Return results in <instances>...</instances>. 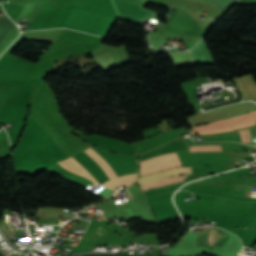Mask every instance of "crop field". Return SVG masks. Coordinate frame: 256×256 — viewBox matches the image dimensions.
Returning a JSON list of instances; mask_svg holds the SVG:
<instances>
[{"mask_svg": "<svg viewBox=\"0 0 256 256\" xmlns=\"http://www.w3.org/2000/svg\"><path fill=\"white\" fill-rule=\"evenodd\" d=\"M186 176L187 175H182V176H177V177H173V178L155 180V181L149 182L147 184L141 185V187L143 188V190L157 188V187H161V186H164V185H167V184L180 182Z\"/></svg>", "mask_w": 256, "mask_h": 256, "instance_id": "obj_7", "label": "crop field"}, {"mask_svg": "<svg viewBox=\"0 0 256 256\" xmlns=\"http://www.w3.org/2000/svg\"><path fill=\"white\" fill-rule=\"evenodd\" d=\"M243 130H244L246 142H247V143L251 142V141H250L251 137H250V133H249L248 127L245 128V129H243ZM243 130H242V129H239L238 132H239V135H240V138L242 139V141L245 142Z\"/></svg>", "mask_w": 256, "mask_h": 256, "instance_id": "obj_8", "label": "crop field"}, {"mask_svg": "<svg viewBox=\"0 0 256 256\" xmlns=\"http://www.w3.org/2000/svg\"><path fill=\"white\" fill-rule=\"evenodd\" d=\"M118 18L129 22L143 20L146 17L156 18L157 13L142 8L148 2L144 0H111Z\"/></svg>", "mask_w": 256, "mask_h": 256, "instance_id": "obj_3", "label": "crop field"}, {"mask_svg": "<svg viewBox=\"0 0 256 256\" xmlns=\"http://www.w3.org/2000/svg\"><path fill=\"white\" fill-rule=\"evenodd\" d=\"M177 174H191V167H179V168H175V169L162 171V172H159L156 174L140 177V178H138V183L141 184V183H145V182H148L151 180L164 178V177H168V176H173V175H177Z\"/></svg>", "mask_w": 256, "mask_h": 256, "instance_id": "obj_6", "label": "crop field"}, {"mask_svg": "<svg viewBox=\"0 0 256 256\" xmlns=\"http://www.w3.org/2000/svg\"><path fill=\"white\" fill-rule=\"evenodd\" d=\"M23 63L24 60L9 55L0 68V78H13Z\"/></svg>", "mask_w": 256, "mask_h": 256, "instance_id": "obj_5", "label": "crop field"}, {"mask_svg": "<svg viewBox=\"0 0 256 256\" xmlns=\"http://www.w3.org/2000/svg\"><path fill=\"white\" fill-rule=\"evenodd\" d=\"M83 154L101 170V172L106 176L108 180L118 177L110 164L91 147L83 151ZM59 163L66 169L95 181L73 157ZM135 179L136 173L115 178L101 185L117 190L122 186L126 187L130 185L133 181H135Z\"/></svg>", "mask_w": 256, "mask_h": 256, "instance_id": "obj_1", "label": "crop field"}, {"mask_svg": "<svg viewBox=\"0 0 256 256\" xmlns=\"http://www.w3.org/2000/svg\"><path fill=\"white\" fill-rule=\"evenodd\" d=\"M177 158H179L177 152L160 155V156L142 161L141 165H140V168L145 167V166H149V165H153V164H157V163H161V162H165V161H169V160H173V159H177ZM181 165L182 164H181L180 160L177 159V160H173V161H169V162H165V163H161V164L141 168L140 169V175L148 174V173H151V172H155V171H159V170H163V169H167V168H171V167H177V166H181Z\"/></svg>", "mask_w": 256, "mask_h": 256, "instance_id": "obj_4", "label": "crop field"}, {"mask_svg": "<svg viewBox=\"0 0 256 256\" xmlns=\"http://www.w3.org/2000/svg\"><path fill=\"white\" fill-rule=\"evenodd\" d=\"M0 8H1V6H0Z\"/></svg>", "mask_w": 256, "mask_h": 256, "instance_id": "obj_9", "label": "crop field"}, {"mask_svg": "<svg viewBox=\"0 0 256 256\" xmlns=\"http://www.w3.org/2000/svg\"><path fill=\"white\" fill-rule=\"evenodd\" d=\"M256 123V111L249 112L240 116L232 117L225 120L216 121L210 124L195 126L191 133L206 134L215 132L230 131Z\"/></svg>", "mask_w": 256, "mask_h": 256, "instance_id": "obj_2", "label": "crop field"}]
</instances>
